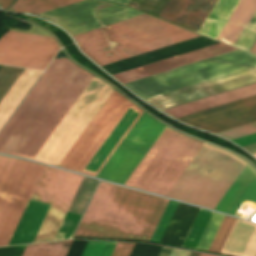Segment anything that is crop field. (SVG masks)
<instances>
[{
  "mask_svg": "<svg viewBox=\"0 0 256 256\" xmlns=\"http://www.w3.org/2000/svg\"><path fill=\"white\" fill-rule=\"evenodd\" d=\"M113 90L114 89L94 76L63 120L51 134L49 139L34 157V160L59 166ZM127 109L139 113L138 116L137 113ZM142 112L143 111L141 109L131 104L114 90L66 158L60 164V167L96 177ZM84 167L86 170L94 172H96L98 168L99 169L96 173H93L83 170Z\"/></svg>",
  "mask_w": 256,
  "mask_h": 256,
  "instance_id": "obj_1",
  "label": "crop field"
},
{
  "mask_svg": "<svg viewBox=\"0 0 256 256\" xmlns=\"http://www.w3.org/2000/svg\"><path fill=\"white\" fill-rule=\"evenodd\" d=\"M92 78L55 59L0 132V153L33 159Z\"/></svg>",
  "mask_w": 256,
  "mask_h": 256,
  "instance_id": "obj_2",
  "label": "crop field"
},
{
  "mask_svg": "<svg viewBox=\"0 0 256 256\" xmlns=\"http://www.w3.org/2000/svg\"><path fill=\"white\" fill-rule=\"evenodd\" d=\"M168 201L101 181L74 236L149 241Z\"/></svg>",
  "mask_w": 256,
  "mask_h": 256,
  "instance_id": "obj_3",
  "label": "crop field"
},
{
  "mask_svg": "<svg viewBox=\"0 0 256 256\" xmlns=\"http://www.w3.org/2000/svg\"><path fill=\"white\" fill-rule=\"evenodd\" d=\"M198 36L144 15L73 38L84 54L102 66Z\"/></svg>",
  "mask_w": 256,
  "mask_h": 256,
  "instance_id": "obj_4",
  "label": "crop field"
},
{
  "mask_svg": "<svg viewBox=\"0 0 256 256\" xmlns=\"http://www.w3.org/2000/svg\"><path fill=\"white\" fill-rule=\"evenodd\" d=\"M82 179L46 166L30 198L51 204L30 199L8 245L30 243L49 204L32 243L52 240Z\"/></svg>",
  "mask_w": 256,
  "mask_h": 256,
  "instance_id": "obj_5",
  "label": "crop field"
},
{
  "mask_svg": "<svg viewBox=\"0 0 256 256\" xmlns=\"http://www.w3.org/2000/svg\"><path fill=\"white\" fill-rule=\"evenodd\" d=\"M206 145L202 146L166 197L214 209L245 167V162L229 152L208 145L244 163Z\"/></svg>",
  "mask_w": 256,
  "mask_h": 256,
  "instance_id": "obj_6",
  "label": "crop field"
},
{
  "mask_svg": "<svg viewBox=\"0 0 256 256\" xmlns=\"http://www.w3.org/2000/svg\"><path fill=\"white\" fill-rule=\"evenodd\" d=\"M217 43L219 42L201 36L119 62L105 65L102 66V68L108 71L111 75H114ZM234 50L237 49L220 43L141 68L117 74L114 75V77L121 83L125 84Z\"/></svg>",
  "mask_w": 256,
  "mask_h": 256,
  "instance_id": "obj_7",
  "label": "crop field"
},
{
  "mask_svg": "<svg viewBox=\"0 0 256 256\" xmlns=\"http://www.w3.org/2000/svg\"><path fill=\"white\" fill-rule=\"evenodd\" d=\"M44 167L0 156V246L7 244Z\"/></svg>",
  "mask_w": 256,
  "mask_h": 256,
  "instance_id": "obj_8",
  "label": "crop field"
},
{
  "mask_svg": "<svg viewBox=\"0 0 256 256\" xmlns=\"http://www.w3.org/2000/svg\"><path fill=\"white\" fill-rule=\"evenodd\" d=\"M202 145L173 131L133 188L165 196Z\"/></svg>",
  "mask_w": 256,
  "mask_h": 256,
  "instance_id": "obj_9",
  "label": "crop field"
},
{
  "mask_svg": "<svg viewBox=\"0 0 256 256\" xmlns=\"http://www.w3.org/2000/svg\"><path fill=\"white\" fill-rule=\"evenodd\" d=\"M165 127L143 112L97 177L124 184Z\"/></svg>",
  "mask_w": 256,
  "mask_h": 256,
  "instance_id": "obj_10",
  "label": "crop field"
},
{
  "mask_svg": "<svg viewBox=\"0 0 256 256\" xmlns=\"http://www.w3.org/2000/svg\"><path fill=\"white\" fill-rule=\"evenodd\" d=\"M59 49L53 38L9 31L0 39V64L44 70Z\"/></svg>",
  "mask_w": 256,
  "mask_h": 256,
  "instance_id": "obj_11",
  "label": "crop field"
},
{
  "mask_svg": "<svg viewBox=\"0 0 256 256\" xmlns=\"http://www.w3.org/2000/svg\"><path fill=\"white\" fill-rule=\"evenodd\" d=\"M256 82V66L145 100L163 111Z\"/></svg>",
  "mask_w": 256,
  "mask_h": 256,
  "instance_id": "obj_12",
  "label": "crop field"
},
{
  "mask_svg": "<svg viewBox=\"0 0 256 256\" xmlns=\"http://www.w3.org/2000/svg\"><path fill=\"white\" fill-rule=\"evenodd\" d=\"M177 119L213 134L223 132L256 121V95Z\"/></svg>",
  "mask_w": 256,
  "mask_h": 256,
  "instance_id": "obj_13",
  "label": "crop field"
},
{
  "mask_svg": "<svg viewBox=\"0 0 256 256\" xmlns=\"http://www.w3.org/2000/svg\"><path fill=\"white\" fill-rule=\"evenodd\" d=\"M217 0H170L159 19L198 32Z\"/></svg>",
  "mask_w": 256,
  "mask_h": 256,
  "instance_id": "obj_14",
  "label": "crop field"
},
{
  "mask_svg": "<svg viewBox=\"0 0 256 256\" xmlns=\"http://www.w3.org/2000/svg\"><path fill=\"white\" fill-rule=\"evenodd\" d=\"M245 198L256 202V171L248 164L215 207V210L234 215Z\"/></svg>",
  "mask_w": 256,
  "mask_h": 256,
  "instance_id": "obj_15",
  "label": "crop field"
},
{
  "mask_svg": "<svg viewBox=\"0 0 256 256\" xmlns=\"http://www.w3.org/2000/svg\"><path fill=\"white\" fill-rule=\"evenodd\" d=\"M220 253L256 256V224L237 219Z\"/></svg>",
  "mask_w": 256,
  "mask_h": 256,
  "instance_id": "obj_16",
  "label": "crop field"
},
{
  "mask_svg": "<svg viewBox=\"0 0 256 256\" xmlns=\"http://www.w3.org/2000/svg\"><path fill=\"white\" fill-rule=\"evenodd\" d=\"M256 13V0H240L217 40L235 46Z\"/></svg>",
  "mask_w": 256,
  "mask_h": 256,
  "instance_id": "obj_17",
  "label": "crop field"
},
{
  "mask_svg": "<svg viewBox=\"0 0 256 256\" xmlns=\"http://www.w3.org/2000/svg\"><path fill=\"white\" fill-rule=\"evenodd\" d=\"M254 94H256V83L163 112L177 118Z\"/></svg>",
  "mask_w": 256,
  "mask_h": 256,
  "instance_id": "obj_18",
  "label": "crop field"
},
{
  "mask_svg": "<svg viewBox=\"0 0 256 256\" xmlns=\"http://www.w3.org/2000/svg\"><path fill=\"white\" fill-rule=\"evenodd\" d=\"M42 72L27 70L21 73L6 96L0 102V129L22 101Z\"/></svg>",
  "mask_w": 256,
  "mask_h": 256,
  "instance_id": "obj_19",
  "label": "crop field"
},
{
  "mask_svg": "<svg viewBox=\"0 0 256 256\" xmlns=\"http://www.w3.org/2000/svg\"><path fill=\"white\" fill-rule=\"evenodd\" d=\"M199 208L179 204L161 243L181 246Z\"/></svg>",
  "mask_w": 256,
  "mask_h": 256,
  "instance_id": "obj_20",
  "label": "crop field"
},
{
  "mask_svg": "<svg viewBox=\"0 0 256 256\" xmlns=\"http://www.w3.org/2000/svg\"><path fill=\"white\" fill-rule=\"evenodd\" d=\"M239 0H218L199 33L216 39Z\"/></svg>",
  "mask_w": 256,
  "mask_h": 256,
  "instance_id": "obj_21",
  "label": "crop field"
},
{
  "mask_svg": "<svg viewBox=\"0 0 256 256\" xmlns=\"http://www.w3.org/2000/svg\"><path fill=\"white\" fill-rule=\"evenodd\" d=\"M78 1L82 0H17L8 11L38 14Z\"/></svg>",
  "mask_w": 256,
  "mask_h": 256,
  "instance_id": "obj_22",
  "label": "crop field"
},
{
  "mask_svg": "<svg viewBox=\"0 0 256 256\" xmlns=\"http://www.w3.org/2000/svg\"><path fill=\"white\" fill-rule=\"evenodd\" d=\"M73 240L27 245L22 256H65Z\"/></svg>",
  "mask_w": 256,
  "mask_h": 256,
  "instance_id": "obj_23",
  "label": "crop field"
},
{
  "mask_svg": "<svg viewBox=\"0 0 256 256\" xmlns=\"http://www.w3.org/2000/svg\"><path fill=\"white\" fill-rule=\"evenodd\" d=\"M136 243L118 242L111 256H130ZM162 247L136 244L131 256H158Z\"/></svg>",
  "mask_w": 256,
  "mask_h": 256,
  "instance_id": "obj_24",
  "label": "crop field"
},
{
  "mask_svg": "<svg viewBox=\"0 0 256 256\" xmlns=\"http://www.w3.org/2000/svg\"><path fill=\"white\" fill-rule=\"evenodd\" d=\"M171 133L172 130L166 127V129L163 131V133L160 135V137L148 151L146 156L143 158V160L140 162V164L137 166V168L134 170V172L131 174L128 180L125 182V185L132 187V185L135 183V181L138 179V177L141 175V173L144 171L146 166L149 164V162L152 160V158L155 156V154L158 152L160 147L163 145V143L166 141V139L169 137Z\"/></svg>",
  "mask_w": 256,
  "mask_h": 256,
  "instance_id": "obj_25",
  "label": "crop field"
},
{
  "mask_svg": "<svg viewBox=\"0 0 256 256\" xmlns=\"http://www.w3.org/2000/svg\"><path fill=\"white\" fill-rule=\"evenodd\" d=\"M213 212L200 210L183 246L195 249Z\"/></svg>",
  "mask_w": 256,
  "mask_h": 256,
  "instance_id": "obj_26",
  "label": "crop field"
},
{
  "mask_svg": "<svg viewBox=\"0 0 256 256\" xmlns=\"http://www.w3.org/2000/svg\"><path fill=\"white\" fill-rule=\"evenodd\" d=\"M2 66H0V69ZM23 71L21 68L3 66L0 70V101Z\"/></svg>",
  "mask_w": 256,
  "mask_h": 256,
  "instance_id": "obj_27",
  "label": "crop field"
},
{
  "mask_svg": "<svg viewBox=\"0 0 256 256\" xmlns=\"http://www.w3.org/2000/svg\"><path fill=\"white\" fill-rule=\"evenodd\" d=\"M255 132H256V122L252 123V124H249V125H245V126L236 128V129H232V130H229V131H226V132H223V133H219V134H216V135H219V136L224 137L228 140H231V139H235V138L245 136V135H248V134H252V133H255ZM243 148L245 150H247L248 152L252 153V154L256 153V143L243 146Z\"/></svg>",
  "mask_w": 256,
  "mask_h": 256,
  "instance_id": "obj_28",
  "label": "crop field"
},
{
  "mask_svg": "<svg viewBox=\"0 0 256 256\" xmlns=\"http://www.w3.org/2000/svg\"><path fill=\"white\" fill-rule=\"evenodd\" d=\"M117 242L90 241L83 256H110Z\"/></svg>",
  "mask_w": 256,
  "mask_h": 256,
  "instance_id": "obj_29",
  "label": "crop field"
},
{
  "mask_svg": "<svg viewBox=\"0 0 256 256\" xmlns=\"http://www.w3.org/2000/svg\"><path fill=\"white\" fill-rule=\"evenodd\" d=\"M80 217H81L80 214L68 212L66 214L54 240L68 239L72 235Z\"/></svg>",
  "mask_w": 256,
  "mask_h": 256,
  "instance_id": "obj_30",
  "label": "crop field"
},
{
  "mask_svg": "<svg viewBox=\"0 0 256 256\" xmlns=\"http://www.w3.org/2000/svg\"><path fill=\"white\" fill-rule=\"evenodd\" d=\"M235 218H231V217H225L209 251L211 252H217L219 253L234 222H235Z\"/></svg>",
  "mask_w": 256,
  "mask_h": 256,
  "instance_id": "obj_31",
  "label": "crop field"
},
{
  "mask_svg": "<svg viewBox=\"0 0 256 256\" xmlns=\"http://www.w3.org/2000/svg\"><path fill=\"white\" fill-rule=\"evenodd\" d=\"M177 205H178V202H174V201H171V200L169 201V203H168V205H167V207H166V209H165V211H164V213H163V215L160 219V222H159V224H158V226H157V228H156V230H155V232H154L150 241H152V242H159L160 241V239H161V237H162V235H163V233H164V231H165V229H166V227H167V225H168V223H169V221H170V219H171V217H172V215H173V213H174V211L177 207Z\"/></svg>",
  "mask_w": 256,
  "mask_h": 256,
  "instance_id": "obj_32",
  "label": "crop field"
},
{
  "mask_svg": "<svg viewBox=\"0 0 256 256\" xmlns=\"http://www.w3.org/2000/svg\"><path fill=\"white\" fill-rule=\"evenodd\" d=\"M26 245L0 248V256H21Z\"/></svg>",
  "mask_w": 256,
  "mask_h": 256,
  "instance_id": "obj_33",
  "label": "crop field"
},
{
  "mask_svg": "<svg viewBox=\"0 0 256 256\" xmlns=\"http://www.w3.org/2000/svg\"><path fill=\"white\" fill-rule=\"evenodd\" d=\"M13 2L14 0H0V7L6 10Z\"/></svg>",
  "mask_w": 256,
  "mask_h": 256,
  "instance_id": "obj_34",
  "label": "crop field"
},
{
  "mask_svg": "<svg viewBox=\"0 0 256 256\" xmlns=\"http://www.w3.org/2000/svg\"><path fill=\"white\" fill-rule=\"evenodd\" d=\"M250 52L256 54V41H255L254 45L252 46V48L250 49Z\"/></svg>",
  "mask_w": 256,
  "mask_h": 256,
  "instance_id": "obj_35",
  "label": "crop field"
},
{
  "mask_svg": "<svg viewBox=\"0 0 256 256\" xmlns=\"http://www.w3.org/2000/svg\"><path fill=\"white\" fill-rule=\"evenodd\" d=\"M199 253H196V252H192L190 256H198Z\"/></svg>",
  "mask_w": 256,
  "mask_h": 256,
  "instance_id": "obj_36",
  "label": "crop field"
},
{
  "mask_svg": "<svg viewBox=\"0 0 256 256\" xmlns=\"http://www.w3.org/2000/svg\"><path fill=\"white\" fill-rule=\"evenodd\" d=\"M200 256H214V255H209V254H203V253H201Z\"/></svg>",
  "mask_w": 256,
  "mask_h": 256,
  "instance_id": "obj_37",
  "label": "crop field"
},
{
  "mask_svg": "<svg viewBox=\"0 0 256 256\" xmlns=\"http://www.w3.org/2000/svg\"><path fill=\"white\" fill-rule=\"evenodd\" d=\"M256 156V154H254Z\"/></svg>",
  "mask_w": 256,
  "mask_h": 256,
  "instance_id": "obj_38",
  "label": "crop field"
}]
</instances>
